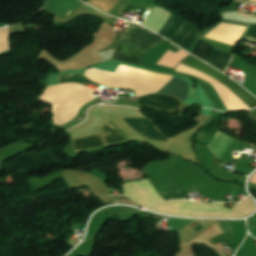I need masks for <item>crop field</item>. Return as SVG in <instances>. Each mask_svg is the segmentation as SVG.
<instances>
[{"label": "crop field", "mask_w": 256, "mask_h": 256, "mask_svg": "<svg viewBox=\"0 0 256 256\" xmlns=\"http://www.w3.org/2000/svg\"><path fill=\"white\" fill-rule=\"evenodd\" d=\"M183 21H184L183 19H181V18H179V17H177V16H175L171 13V15L166 20V22L164 23V25L162 26V28L159 30L158 33L161 34L163 37L170 40L180 30V28L183 24ZM191 27L192 26L189 23L184 22L183 27L181 28V30L170 41L179 45L181 42L184 41V39L187 36ZM196 35H197V29L192 27L190 33L188 34V36L186 38V40L182 44H180L179 46L188 50L189 47L192 45Z\"/></svg>", "instance_id": "crop-field-1"}, {"label": "crop field", "mask_w": 256, "mask_h": 256, "mask_svg": "<svg viewBox=\"0 0 256 256\" xmlns=\"http://www.w3.org/2000/svg\"><path fill=\"white\" fill-rule=\"evenodd\" d=\"M96 133L97 135L94 136L74 140V151L77 152L126 140V138L116 130L110 122H108L103 129L96 131Z\"/></svg>", "instance_id": "crop-field-2"}, {"label": "crop field", "mask_w": 256, "mask_h": 256, "mask_svg": "<svg viewBox=\"0 0 256 256\" xmlns=\"http://www.w3.org/2000/svg\"><path fill=\"white\" fill-rule=\"evenodd\" d=\"M211 47V45L199 40L192 51V54L204 60ZM231 55L232 54L221 52L212 47L204 61L208 62L219 70L224 71L231 59Z\"/></svg>", "instance_id": "crop-field-3"}, {"label": "crop field", "mask_w": 256, "mask_h": 256, "mask_svg": "<svg viewBox=\"0 0 256 256\" xmlns=\"http://www.w3.org/2000/svg\"><path fill=\"white\" fill-rule=\"evenodd\" d=\"M139 102L171 113L175 112L179 108L187 107V105L179 99L162 94L142 96L140 97Z\"/></svg>", "instance_id": "crop-field-4"}, {"label": "crop field", "mask_w": 256, "mask_h": 256, "mask_svg": "<svg viewBox=\"0 0 256 256\" xmlns=\"http://www.w3.org/2000/svg\"><path fill=\"white\" fill-rule=\"evenodd\" d=\"M122 39L139 46L145 51L162 41L153 36L148 31L138 28L134 25L130 26V28L123 35Z\"/></svg>", "instance_id": "crop-field-5"}, {"label": "crop field", "mask_w": 256, "mask_h": 256, "mask_svg": "<svg viewBox=\"0 0 256 256\" xmlns=\"http://www.w3.org/2000/svg\"><path fill=\"white\" fill-rule=\"evenodd\" d=\"M128 126L144 139L163 140L167 139L161 134L156 126L148 119L124 118Z\"/></svg>", "instance_id": "crop-field-6"}, {"label": "crop field", "mask_w": 256, "mask_h": 256, "mask_svg": "<svg viewBox=\"0 0 256 256\" xmlns=\"http://www.w3.org/2000/svg\"><path fill=\"white\" fill-rule=\"evenodd\" d=\"M182 63L208 73L209 75H211L213 78H215L217 81H219L226 87L235 84V83H232L229 79L227 80L224 74L220 73L219 71L215 70L209 65L203 63L202 61L192 57L191 55L187 59H185Z\"/></svg>", "instance_id": "crop-field-7"}, {"label": "crop field", "mask_w": 256, "mask_h": 256, "mask_svg": "<svg viewBox=\"0 0 256 256\" xmlns=\"http://www.w3.org/2000/svg\"><path fill=\"white\" fill-rule=\"evenodd\" d=\"M188 85L177 78H173L158 93H168L179 97L182 101L186 98Z\"/></svg>", "instance_id": "crop-field-8"}, {"label": "crop field", "mask_w": 256, "mask_h": 256, "mask_svg": "<svg viewBox=\"0 0 256 256\" xmlns=\"http://www.w3.org/2000/svg\"><path fill=\"white\" fill-rule=\"evenodd\" d=\"M237 99L248 109L256 106V99L238 84L228 87Z\"/></svg>", "instance_id": "crop-field-9"}, {"label": "crop field", "mask_w": 256, "mask_h": 256, "mask_svg": "<svg viewBox=\"0 0 256 256\" xmlns=\"http://www.w3.org/2000/svg\"><path fill=\"white\" fill-rule=\"evenodd\" d=\"M216 223L218 224V226L222 229V231L224 233L208 240L209 242H211L213 245H215L221 241H224V240L234 237L232 227L229 225V223L227 221H218Z\"/></svg>", "instance_id": "crop-field-10"}, {"label": "crop field", "mask_w": 256, "mask_h": 256, "mask_svg": "<svg viewBox=\"0 0 256 256\" xmlns=\"http://www.w3.org/2000/svg\"><path fill=\"white\" fill-rule=\"evenodd\" d=\"M68 82H78V83H85V84L97 86V84L92 83L90 80L86 79L81 74H70V75L59 76V84L68 83Z\"/></svg>", "instance_id": "crop-field-11"}, {"label": "crop field", "mask_w": 256, "mask_h": 256, "mask_svg": "<svg viewBox=\"0 0 256 256\" xmlns=\"http://www.w3.org/2000/svg\"><path fill=\"white\" fill-rule=\"evenodd\" d=\"M245 40H249L252 42H256V25H253L247 35L244 38Z\"/></svg>", "instance_id": "crop-field-12"}, {"label": "crop field", "mask_w": 256, "mask_h": 256, "mask_svg": "<svg viewBox=\"0 0 256 256\" xmlns=\"http://www.w3.org/2000/svg\"><path fill=\"white\" fill-rule=\"evenodd\" d=\"M248 117L256 120V109H254L253 111H251L249 114H247Z\"/></svg>", "instance_id": "crop-field-13"}, {"label": "crop field", "mask_w": 256, "mask_h": 256, "mask_svg": "<svg viewBox=\"0 0 256 256\" xmlns=\"http://www.w3.org/2000/svg\"><path fill=\"white\" fill-rule=\"evenodd\" d=\"M251 182L256 183V174L252 177Z\"/></svg>", "instance_id": "crop-field-14"}, {"label": "crop field", "mask_w": 256, "mask_h": 256, "mask_svg": "<svg viewBox=\"0 0 256 256\" xmlns=\"http://www.w3.org/2000/svg\"><path fill=\"white\" fill-rule=\"evenodd\" d=\"M83 1H85V2H86L87 0H83Z\"/></svg>", "instance_id": "crop-field-15"}, {"label": "crop field", "mask_w": 256, "mask_h": 256, "mask_svg": "<svg viewBox=\"0 0 256 256\" xmlns=\"http://www.w3.org/2000/svg\"><path fill=\"white\" fill-rule=\"evenodd\" d=\"M70 13H71V12H70ZM70 13H68V15H69Z\"/></svg>", "instance_id": "crop-field-16"}]
</instances>
